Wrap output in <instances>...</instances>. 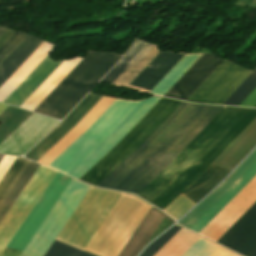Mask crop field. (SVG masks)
Segmentation results:
<instances>
[{
    "mask_svg": "<svg viewBox=\"0 0 256 256\" xmlns=\"http://www.w3.org/2000/svg\"><path fill=\"white\" fill-rule=\"evenodd\" d=\"M7 28L0 27V35L6 30Z\"/></svg>",
    "mask_w": 256,
    "mask_h": 256,
    "instance_id": "obj_38",
    "label": "crop field"
},
{
    "mask_svg": "<svg viewBox=\"0 0 256 256\" xmlns=\"http://www.w3.org/2000/svg\"><path fill=\"white\" fill-rule=\"evenodd\" d=\"M149 42L137 39L126 55L118 62V64L106 75L101 82L112 84L116 78L130 65V63L143 51Z\"/></svg>",
    "mask_w": 256,
    "mask_h": 256,
    "instance_id": "obj_26",
    "label": "crop field"
},
{
    "mask_svg": "<svg viewBox=\"0 0 256 256\" xmlns=\"http://www.w3.org/2000/svg\"><path fill=\"white\" fill-rule=\"evenodd\" d=\"M8 107V105H4L0 103V113L5 110Z\"/></svg>",
    "mask_w": 256,
    "mask_h": 256,
    "instance_id": "obj_36",
    "label": "crop field"
},
{
    "mask_svg": "<svg viewBox=\"0 0 256 256\" xmlns=\"http://www.w3.org/2000/svg\"><path fill=\"white\" fill-rule=\"evenodd\" d=\"M222 61L213 54H203L164 96L186 100Z\"/></svg>",
    "mask_w": 256,
    "mask_h": 256,
    "instance_id": "obj_13",
    "label": "crop field"
},
{
    "mask_svg": "<svg viewBox=\"0 0 256 256\" xmlns=\"http://www.w3.org/2000/svg\"><path fill=\"white\" fill-rule=\"evenodd\" d=\"M70 181L71 178L59 172L57 173L24 223L21 225L15 236L8 244V248L22 251L24 246L27 244L31 236L34 234L38 226L41 224L45 216L48 214ZM19 254V251L6 248L1 256H18Z\"/></svg>",
    "mask_w": 256,
    "mask_h": 256,
    "instance_id": "obj_8",
    "label": "crop field"
},
{
    "mask_svg": "<svg viewBox=\"0 0 256 256\" xmlns=\"http://www.w3.org/2000/svg\"><path fill=\"white\" fill-rule=\"evenodd\" d=\"M25 34L13 33L0 47V62L13 50V48L25 37Z\"/></svg>",
    "mask_w": 256,
    "mask_h": 256,
    "instance_id": "obj_30",
    "label": "crop field"
},
{
    "mask_svg": "<svg viewBox=\"0 0 256 256\" xmlns=\"http://www.w3.org/2000/svg\"><path fill=\"white\" fill-rule=\"evenodd\" d=\"M180 227L175 226L155 240L140 256H153L178 230Z\"/></svg>",
    "mask_w": 256,
    "mask_h": 256,
    "instance_id": "obj_29",
    "label": "crop field"
},
{
    "mask_svg": "<svg viewBox=\"0 0 256 256\" xmlns=\"http://www.w3.org/2000/svg\"><path fill=\"white\" fill-rule=\"evenodd\" d=\"M229 172L230 170L212 164L182 194H184L186 197L196 203L211 189H213L220 182V180ZM182 194L163 210L176 220L184 215L195 204Z\"/></svg>",
    "mask_w": 256,
    "mask_h": 256,
    "instance_id": "obj_11",
    "label": "crop field"
},
{
    "mask_svg": "<svg viewBox=\"0 0 256 256\" xmlns=\"http://www.w3.org/2000/svg\"><path fill=\"white\" fill-rule=\"evenodd\" d=\"M255 104H256V88L249 94V96L239 106L253 107Z\"/></svg>",
    "mask_w": 256,
    "mask_h": 256,
    "instance_id": "obj_33",
    "label": "crop field"
},
{
    "mask_svg": "<svg viewBox=\"0 0 256 256\" xmlns=\"http://www.w3.org/2000/svg\"><path fill=\"white\" fill-rule=\"evenodd\" d=\"M82 58L65 60L42 85L20 106L33 111Z\"/></svg>",
    "mask_w": 256,
    "mask_h": 256,
    "instance_id": "obj_20",
    "label": "crop field"
},
{
    "mask_svg": "<svg viewBox=\"0 0 256 256\" xmlns=\"http://www.w3.org/2000/svg\"><path fill=\"white\" fill-rule=\"evenodd\" d=\"M198 238L181 228L154 256H181Z\"/></svg>",
    "mask_w": 256,
    "mask_h": 256,
    "instance_id": "obj_24",
    "label": "crop field"
},
{
    "mask_svg": "<svg viewBox=\"0 0 256 256\" xmlns=\"http://www.w3.org/2000/svg\"><path fill=\"white\" fill-rule=\"evenodd\" d=\"M100 95L88 94L76 108L44 139H42L25 157L37 161L54 144H56L67 132H69L81 118L96 104L101 98Z\"/></svg>",
    "mask_w": 256,
    "mask_h": 256,
    "instance_id": "obj_12",
    "label": "crop field"
},
{
    "mask_svg": "<svg viewBox=\"0 0 256 256\" xmlns=\"http://www.w3.org/2000/svg\"><path fill=\"white\" fill-rule=\"evenodd\" d=\"M13 33V31L7 29L1 36H0V46L5 42V40Z\"/></svg>",
    "mask_w": 256,
    "mask_h": 256,
    "instance_id": "obj_35",
    "label": "crop field"
},
{
    "mask_svg": "<svg viewBox=\"0 0 256 256\" xmlns=\"http://www.w3.org/2000/svg\"><path fill=\"white\" fill-rule=\"evenodd\" d=\"M256 201V176L199 233L217 241Z\"/></svg>",
    "mask_w": 256,
    "mask_h": 256,
    "instance_id": "obj_10",
    "label": "crop field"
},
{
    "mask_svg": "<svg viewBox=\"0 0 256 256\" xmlns=\"http://www.w3.org/2000/svg\"><path fill=\"white\" fill-rule=\"evenodd\" d=\"M3 158V156L2 155H0V161H1V159Z\"/></svg>",
    "mask_w": 256,
    "mask_h": 256,
    "instance_id": "obj_39",
    "label": "crop field"
},
{
    "mask_svg": "<svg viewBox=\"0 0 256 256\" xmlns=\"http://www.w3.org/2000/svg\"><path fill=\"white\" fill-rule=\"evenodd\" d=\"M179 103V101L161 98L130 132L80 180L97 186L143 143Z\"/></svg>",
    "mask_w": 256,
    "mask_h": 256,
    "instance_id": "obj_5",
    "label": "crop field"
},
{
    "mask_svg": "<svg viewBox=\"0 0 256 256\" xmlns=\"http://www.w3.org/2000/svg\"><path fill=\"white\" fill-rule=\"evenodd\" d=\"M255 117L256 109L224 107L181 154L137 195L163 210L212 164Z\"/></svg>",
    "mask_w": 256,
    "mask_h": 256,
    "instance_id": "obj_2",
    "label": "crop field"
},
{
    "mask_svg": "<svg viewBox=\"0 0 256 256\" xmlns=\"http://www.w3.org/2000/svg\"><path fill=\"white\" fill-rule=\"evenodd\" d=\"M120 58L114 53L87 52L34 112L63 119Z\"/></svg>",
    "mask_w": 256,
    "mask_h": 256,
    "instance_id": "obj_3",
    "label": "crop field"
},
{
    "mask_svg": "<svg viewBox=\"0 0 256 256\" xmlns=\"http://www.w3.org/2000/svg\"><path fill=\"white\" fill-rule=\"evenodd\" d=\"M248 256H256V248Z\"/></svg>",
    "mask_w": 256,
    "mask_h": 256,
    "instance_id": "obj_37",
    "label": "crop field"
},
{
    "mask_svg": "<svg viewBox=\"0 0 256 256\" xmlns=\"http://www.w3.org/2000/svg\"><path fill=\"white\" fill-rule=\"evenodd\" d=\"M222 108L181 102L145 142L98 186L137 194Z\"/></svg>",
    "mask_w": 256,
    "mask_h": 256,
    "instance_id": "obj_1",
    "label": "crop field"
},
{
    "mask_svg": "<svg viewBox=\"0 0 256 256\" xmlns=\"http://www.w3.org/2000/svg\"><path fill=\"white\" fill-rule=\"evenodd\" d=\"M211 256H236V255L219 247Z\"/></svg>",
    "mask_w": 256,
    "mask_h": 256,
    "instance_id": "obj_34",
    "label": "crop field"
},
{
    "mask_svg": "<svg viewBox=\"0 0 256 256\" xmlns=\"http://www.w3.org/2000/svg\"><path fill=\"white\" fill-rule=\"evenodd\" d=\"M29 163V160L17 157L15 162L12 164L6 175L0 182V203L7 195L15 181L18 179L24 168Z\"/></svg>",
    "mask_w": 256,
    "mask_h": 256,
    "instance_id": "obj_27",
    "label": "crop field"
},
{
    "mask_svg": "<svg viewBox=\"0 0 256 256\" xmlns=\"http://www.w3.org/2000/svg\"><path fill=\"white\" fill-rule=\"evenodd\" d=\"M151 205L123 193L85 251L98 256H118Z\"/></svg>",
    "mask_w": 256,
    "mask_h": 256,
    "instance_id": "obj_4",
    "label": "crop field"
},
{
    "mask_svg": "<svg viewBox=\"0 0 256 256\" xmlns=\"http://www.w3.org/2000/svg\"><path fill=\"white\" fill-rule=\"evenodd\" d=\"M256 247V229L235 249L243 256H247Z\"/></svg>",
    "mask_w": 256,
    "mask_h": 256,
    "instance_id": "obj_31",
    "label": "crop field"
},
{
    "mask_svg": "<svg viewBox=\"0 0 256 256\" xmlns=\"http://www.w3.org/2000/svg\"><path fill=\"white\" fill-rule=\"evenodd\" d=\"M16 157L4 156L2 161L0 162V180L5 175L11 164L14 162Z\"/></svg>",
    "mask_w": 256,
    "mask_h": 256,
    "instance_id": "obj_32",
    "label": "crop field"
},
{
    "mask_svg": "<svg viewBox=\"0 0 256 256\" xmlns=\"http://www.w3.org/2000/svg\"><path fill=\"white\" fill-rule=\"evenodd\" d=\"M62 62H54L49 54L4 103L19 107Z\"/></svg>",
    "mask_w": 256,
    "mask_h": 256,
    "instance_id": "obj_14",
    "label": "crop field"
},
{
    "mask_svg": "<svg viewBox=\"0 0 256 256\" xmlns=\"http://www.w3.org/2000/svg\"><path fill=\"white\" fill-rule=\"evenodd\" d=\"M164 216L174 223L169 217L151 206L119 256H137L139 251L146 245Z\"/></svg>",
    "mask_w": 256,
    "mask_h": 256,
    "instance_id": "obj_16",
    "label": "crop field"
},
{
    "mask_svg": "<svg viewBox=\"0 0 256 256\" xmlns=\"http://www.w3.org/2000/svg\"><path fill=\"white\" fill-rule=\"evenodd\" d=\"M44 256H94L54 240Z\"/></svg>",
    "mask_w": 256,
    "mask_h": 256,
    "instance_id": "obj_28",
    "label": "crop field"
},
{
    "mask_svg": "<svg viewBox=\"0 0 256 256\" xmlns=\"http://www.w3.org/2000/svg\"><path fill=\"white\" fill-rule=\"evenodd\" d=\"M56 172L41 166L0 224V254L45 191Z\"/></svg>",
    "mask_w": 256,
    "mask_h": 256,
    "instance_id": "obj_7",
    "label": "crop field"
},
{
    "mask_svg": "<svg viewBox=\"0 0 256 256\" xmlns=\"http://www.w3.org/2000/svg\"><path fill=\"white\" fill-rule=\"evenodd\" d=\"M256 175V161L248 170L190 227L200 232L224 206Z\"/></svg>",
    "mask_w": 256,
    "mask_h": 256,
    "instance_id": "obj_19",
    "label": "crop field"
},
{
    "mask_svg": "<svg viewBox=\"0 0 256 256\" xmlns=\"http://www.w3.org/2000/svg\"><path fill=\"white\" fill-rule=\"evenodd\" d=\"M159 52L155 44L150 43L119 78H116L113 85L127 87Z\"/></svg>",
    "mask_w": 256,
    "mask_h": 256,
    "instance_id": "obj_23",
    "label": "crop field"
},
{
    "mask_svg": "<svg viewBox=\"0 0 256 256\" xmlns=\"http://www.w3.org/2000/svg\"><path fill=\"white\" fill-rule=\"evenodd\" d=\"M254 107H256V105Z\"/></svg>",
    "mask_w": 256,
    "mask_h": 256,
    "instance_id": "obj_40",
    "label": "crop field"
},
{
    "mask_svg": "<svg viewBox=\"0 0 256 256\" xmlns=\"http://www.w3.org/2000/svg\"><path fill=\"white\" fill-rule=\"evenodd\" d=\"M42 40L27 35L0 63V85L34 51Z\"/></svg>",
    "mask_w": 256,
    "mask_h": 256,
    "instance_id": "obj_22",
    "label": "crop field"
},
{
    "mask_svg": "<svg viewBox=\"0 0 256 256\" xmlns=\"http://www.w3.org/2000/svg\"><path fill=\"white\" fill-rule=\"evenodd\" d=\"M38 167L39 164L30 161V163L28 164V166L26 167V169L19 177V179L17 180V182L15 183V185L13 186V188L11 189V191L9 192V194L0 206V222L4 218V216L6 215V213L8 212L12 204L15 202V200L17 199V197L19 196V194L26 186V184L28 183V181L30 180V178L32 177V175Z\"/></svg>",
    "mask_w": 256,
    "mask_h": 256,
    "instance_id": "obj_25",
    "label": "crop field"
},
{
    "mask_svg": "<svg viewBox=\"0 0 256 256\" xmlns=\"http://www.w3.org/2000/svg\"><path fill=\"white\" fill-rule=\"evenodd\" d=\"M251 72L224 60L187 100L221 105Z\"/></svg>",
    "mask_w": 256,
    "mask_h": 256,
    "instance_id": "obj_9",
    "label": "crop field"
},
{
    "mask_svg": "<svg viewBox=\"0 0 256 256\" xmlns=\"http://www.w3.org/2000/svg\"><path fill=\"white\" fill-rule=\"evenodd\" d=\"M54 46L42 42L35 51L17 68V70L0 86V101L3 102L14 89L36 68L51 52Z\"/></svg>",
    "mask_w": 256,
    "mask_h": 256,
    "instance_id": "obj_17",
    "label": "crop field"
},
{
    "mask_svg": "<svg viewBox=\"0 0 256 256\" xmlns=\"http://www.w3.org/2000/svg\"><path fill=\"white\" fill-rule=\"evenodd\" d=\"M183 56L161 51L130 85L151 90Z\"/></svg>",
    "mask_w": 256,
    "mask_h": 256,
    "instance_id": "obj_15",
    "label": "crop field"
},
{
    "mask_svg": "<svg viewBox=\"0 0 256 256\" xmlns=\"http://www.w3.org/2000/svg\"><path fill=\"white\" fill-rule=\"evenodd\" d=\"M255 160L256 150L231 174V176L226 181H224L218 188H216L179 223L189 228L242 175V173Z\"/></svg>",
    "mask_w": 256,
    "mask_h": 256,
    "instance_id": "obj_18",
    "label": "crop field"
},
{
    "mask_svg": "<svg viewBox=\"0 0 256 256\" xmlns=\"http://www.w3.org/2000/svg\"><path fill=\"white\" fill-rule=\"evenodd\" d=\"M121 195L91 187L56 240L84 250Z\"/></svg>",
    "mask_w": 256,
    "mask_h": 256,
    "instance_id": "obj_6",
    "label": "crop field"
},
{
    "mask_svg": "<svg viewBox=\"0 0 256 256\" xmlns=\"http://www.w3.org/2000/svg\"><path fill=\"white\" fill-rule=\"evenodd\" d=\"M256 228V202L217 241L234 250Z\"/></svg>",
    "mask_w": 256,
    "mask_h": 256,
    "instance_id": "obj_21",
    "label": "crop field"
}]
</instances>
